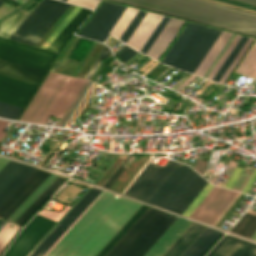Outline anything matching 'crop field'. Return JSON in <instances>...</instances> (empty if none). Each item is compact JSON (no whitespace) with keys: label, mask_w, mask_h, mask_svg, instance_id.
I'll list each match as a JSON object with an SVG mask.
<instances>
[{"label":"crop field","mask_w":256,"mask_h":256,"mask_svg":"<svg viewBox=\"0 0 256 256\" xmlns=\"http://www.w3.org/2000/svg\"><path fill=\"white\" fill-rule=\"evenodd\" d=\"M124 200L104 192L46 256H74ZM140 206L126 199L75 256H96Z\"/></svg>","instance_id":"8a807250"},{"label":"crop field","mask_w":256,"mask_h":256,"mask_svg":"<svg viewBox=\"0 0 256 256\" xmlns=\"http://www.w3.org/2000/svg\"><path fill=\"white\" fill-rule=\"evenodd\" d=\"M256 37V14L202 0H113Z\"/></svg>","instance_id":"ac0d7876"},{"label":"crop field","mask_w":256,"mask_h":256,"mask_svg":"<svg viewBox=\"0 0 256 256\" xmlns=\"http://www.w3.org/2000/svg\"><path fill=\"white\" fill-rule=\"evenodd\" d=\"M84 80L49 72L21 121L45 124L49 115L62 117Z\"/></svg>","instance_id":"34b2d1b8"},{"label":"crop field","mask_w":256,"mask_h":256,"mask_svg":"<svg viewBox=\"0 0 256 256\" xmlns=\"http://www.w3.org/2000/svg\"><path fill=\"white\" fill-rule=\"evenodd\" d=\"M68 6L56 0H42L10 39L35 45Z\"/></svg>","instance_id":"412701ff"},{"label":"crop field","mask_w":256,"mask_h":256,"mask_svg":"<svg viewBox=\"0 0 256 256\" xmlns=\"http://www.w3.org/2000/svg\"><path fill=\"white\" fill-rule=\"evenodd\" d=\"M221 30L199 25L172 67L193 73Z\"/></svg>","instance_id":"f4fd0767"},{"label":"crop field","mask_w":256,"mask_h":256,"mask_svg":"<svg viewBox=\"0 0 256 256\" xmlns=\"http://www.w3.org/2000/svg\"><path fill=\"white\" fill-rule=\"evenodd\" d=\"M56 53L0 37V58L48 71Z\"/></svg>","instance_id":"dd49c442"},{"label":"crop field","mask_w":256,"mask_h":256,"mask_svg":"<svg viewBox=\"0 0 256 256\" xmlns=\"http://www.w3.org/2000/svg\"><path fill=\"white\" fill-rule=\"evenodd\" d=\"M207 183L190 168L160 206L182 214Z\"/></svg>","instance_id":"e52e79f7"},{"label":"crop field","mask_w":256,"mask_h":256,"mask_svg":"<svg viewBox=\"0 0 256 256\" xmlns=\"http://www.w3.org/2000/svg\"><path fill=\"white\" fill-rule=\"evenodd\" d=\"M177 164V162L170 161L168 165L166 164L167 166L162 169L149 163L126 191L125 195L147 202Z\"/></svg>","instance_id":"d8731c3e"},{"label":"crop field","mask_w":256,"mask_h":256,"mask_svg":"<svg viewBox=\"0 0 256 256\" xmlns=\"http://www.w3.org/2000/svg\"><path fill=\"white\" fill-rule=\"evenodd\" d=\"M56 222L37 215L20 233L4 256H27Z\"/></svg>","instance_id":"5a996713"},{"label":"crop field","mask_w":256,"mask_h":256,"mask_svg":"<svg viewBox=\"0 0 256 256\" xmlns=\"http://www.w3.org/2000/svg\"><path fill=\"white\" fill-rule=\"evenodd\" d=\"M236 194L214 186L190 217L212 224Z\"/></svg>","instance_id":"3316defc"},{"label":"crop field","mask_w":256,"mask_h":256,"mask_svg":"<svg viewBox=\"0 0 256 256\" xmlns=\"http://www.w3.org/2000/svg\"><path fill=\"white\" fill-rule=\"evenodd\" d=\"M177 216L162 212L123 256H142L162 233L173 223Z\"/></svg>","instance_id":"28ad6ade"},{"label":"crop field","mask_w":256,"mask_h":256,"mask_svg":"<svg viewBox=\"0 0 256 256\" xmlns=\"http://www.w3.org/2000/svg\"><path fill=\"white\" fill-rule=\"evenodd\" d=\"M100 192L101 190L91 188L30 256H42Z\"/></svg>","instance_id":"d1516ede"},{"label":"crop field","mask_w":256,"mask_h":256,"mask_svg":"<svg viewBox=\"0 0 256 256\" xmlns=\"http://www.w3.org/2000/svg\"><path fill=\"white\" fill-rule=\"evenodd\" d=\"M49 175L37 168L0 207V215L7 219Z\"/></svg>","instance_id":"22f410ed"},{"label":"crop field","mask_w":256,"mask_h":256,"mask_svg":"<svg viewBox=\"0 0 256 256\" xmlns=\"http://www.w3.org/2000/svg\"><path fill=\"white\" fill-rule=\"evenodd\" d=\"M35 169L36 167L10 161L0 171V205Z\"/></svg>","instance_id":"cbeb9de0"},{"label":"crop field","mask_w":256,"mask_h":256,"mask_svg":"<svg viewBox=\"0 0 256 256\" xmlns=\"http://www.w3.org/2000/svg\"><path fill=\"white\" fill-rule=\"evenodd\" d=\"M160 213L149 207L105 256H122Z\"/></svg>","instance_id":"5142ce71"},{"label":"crop field","mask_w":256,"mask_h":256,"mask_svg":"<svg viewBox=\"0 0 256 256\" xmlns=\"http://www.w3.org/2000/svg\"><path fill=\"white\" fill-rule=\"evenodd\" d=\"M119 8L120 5L103 1L94 15L80 29L77 35L97 40Z\"/></svg>","instance_id":"d9b57169"},{"label":"crop field","mask_w":256,"mask_h":256,"mask_svg":"<svg viewBox=\"0 0 256 256\" xmlns=\"http://www.w3.org/2000/svg\"><path fill=\"white\" fill-rule=\"evenodd\" d=\"M36 86L0 76V100L24 107Z\"/></svg>","instance_id":"733c2abd"},{"label":"crop field","mask_w":256,"mask_h":256,"mask_svg":"<svg viewBox=\"0 0 256 256\" xmlns=\"http://www.w3.org/2000/svg\"><path fill=\"white\" fill-rule=\"evenodd\" d=\"M207 256H256V244L226 235Z\"/></svg>","instance_id":"4a817a6b"},{"label":"crop field","mask_w":256,"mask_h":256,"mask_svg":"<svg viewBox=\"0 0 256 256\" xmlns=\"http://www.w3.org/2000/svg\"><path fill=\"white\" fill-rule=\"evenodd\" d=\"M46 71L0 59V75L38 85Z\"/></svg>","instance_id":"bc2a9ffb"},{"label":"crop field","mask_w":256,"mask_h":256,"mask_svg":"<svg viewBox=\"0 0 256 256\" xmlns=\"http://www.w3.org/2000/svg\"><path fill=\"white\" fill-rule=\"evenodd\" d=\"M190 223L191 221L178 217L144 256H161Z\"/></svg>","instance_id":"214f88e0"},{"label":"crop field","mask_w":256,"mask_h":256,"mask_svg":"<svg viewBox=\"0 0 256 256\" xmlns=\"http://www.w3.org/2000/svg\"><path fill=\"white\" fill-rule=\"evenodd\" d=\"M162 17V15L147 12L132 36L127 41V44L140 51L141 47L146 42Z\"/></svg>","instance_id":"92a150f3"},{"label":"crop field","mask_w":256,"mask_h":256,"mask_svg":"<svg viewBox=\"0 0 256 256\" xmlns=\"http://www.w3.org/2000/svg\"><path fill=\"white\" fill-rule=\"evenodd\" d=\"M183 24L184 21L170 18L167 25L164 27L160 35L157 37V39L147 52V55L158 60V58L161 56L163 51L166 49L168 44L171 42V40L174 38V36Z\"/></svg>","instance_id":"dafd665d"},{"label":"crop field","mask_w":256,"mask_h":256,"mask_svg":"<svg viewBox=\"0 0 256 256\" xmlns=\"http://www.w3.org/2000/svg\"><path fill=\"white\" fill-rule=\"evenodd\" d=\"M205 228L202 225L192 222L162 256H181Z\"/></svg>","instance_id":"00972430"},{"label":"crop field","mask_w":256,"mask_h":256,"mask_svg":"<svg viewBox=\"0 0 256 256\" xmlns=\"http://www.w3.org/2000/svg\"><path fill=\"white\" fill-rule=\"evenodd\" d=\"M232 33L224 32L220 34L213 46L210 48L206 56L203 58L199 66L194 71V74L203 77L210 65L213 63L217 55L220 53L222 48L225 46Z\"/></svg>","instance_id":"a9b5d70f"},{"label":"crop field","mask_w":256,"mask_h":256,"mask_svg":"<svg viewBox=\"0 0 256 256\" xmlns=\"http://www.w3.org/2000/svg\"><path fill=\"white\" fill-rule=\"evenodd\" d=\"M189 167L183 165V167H177L176 170L171 174V176L166 180V182L161 186V188L156 192V194L151 198L148 203L159 206L160 203L165 199L169 192L174 188L178 181L183 177L187 172Z\"/></svg>","instance_id":"4177f3b9"},{"label":"crop field","mask_w":256,"mask_h":256,"mask_svg":"<svg viewBox=\"0 0 256 256\" xmlns=\"http://www.w3.org/2000/svg\"><path fill=\"white\" fill-rule=\"evenodd\" d=\"M90 12L91 10L82 8L47 49L58 52L59 48L66 42V40L73 33V31L90 14Z\"/></svg>","instance_id":"730fd06b"},{"label":"crop field","mask_w":256,"mask_h":256,"mask_svg":"<svg viewBox=\"0 0 256 256\" xmlns=\"http://www.w3.org/2000/svg\"><path fill=\"white\" fill-rule=\"evenodd\" d=\"M65 180L66 179L58 176L48 186V188L25 210V212L14 222V224L21 226Z\"/></svg>","instance_id":"eef30255"},{"label":"crop field","mask_w":256,"mask_h":256,"mask_svg":"<svg viewBox=\"0 0 256 256\" xmlns=\"http://www.w3.org/2000/svg\"><path fill=\"white\" fill-rule=\"evenodd\" d=\"M198 27L197 24H191L188 23L186 28L183 30L179 38L176 40L172 48L169 50L165 58L162 60V63H165L169 66L173 63V61L176 59L184 45L187 43L193 32Z\"/></svg>","instance_id":"ae1a2a85"},{"label":"crop field","mask_w":256,"mask_h":256,"mask_svg":"<svg viewBox=\"0 0 256 256\" xmlns=\"http://www.w3.org/2000/svg\"><path fill=\"white\" fill-rule=\"evenodd\" d=\"M256 231V216L246 213L232 229V232L251 238Z\"/></svg>","instance_id":"d3111659"},{"label":"crop field","mask_w":256,"mask_h":256,"mask_svg":"<svg viewBox=\"0 0 256 256\" xmlns=\"http://www.w3.org/2000/svg\"><path fill=\"white\" fill-rule=\"evenodd\" d=\"M57 177L51 174L30 196L29 198L7 219L9 222H14L23 211L46 189V187Z\"/></svg>","instance_id":"750c4746"},{"label":"crop field","mask_w":256,"mask_h":256,"mask_svg":"<svg viewBox=\"0 0 256 256\" xmlns=\"http://www.w3.org/2000/svg\"><path fill=\"white\" fill-rule=\"evenodd\" d=\"M28 15L19 11L0 23V35L9 38Z\"/></svg>","instance_id":"bd1437ed"},{"label":"crop field","mask_w":256,"mask_h":256,"mask_svg":"<svg viewBox=\"0 0 256 256\" xmlns=\"http://www.w3.org/2000/svg\"><path fill=\"white\" fill-rule=\"evenodd\" d=\"M236 71L256 78V43L243 59Z\"/></svg>","instance_id":"1d83c4d3"},{"label":"crop field","mask_w":256,"mask_h":256,"mask_svg":"<svg viewBox=\"0 0 256 256\" xmlns=\"http://www.w3.org/2000/svg\"><path fill=\"white\" fill-rule=\"evenodd\" d=\"M138 12L137 9L127 7L126 11L123 13L121 18L115 24L113 29L110 31L109 34L113 35L114 37L118 38L124 32L128 24L131 22L135 14Z\"/></svg>","instance_id":"120bbe31"},{"label":"crop field","mask_w":256,"mask_h":256,"mask_svg":"<svg viewBox=\"0 0 256 256\" xmlns=\"http://www.w3.org/2000/svg\"><path fill=\"white\" fill-rule=\"evenodd\" d=\"M248 40V37H244L242 36V38L240 39V41L237 43V45L235 46V48L233 49V51L231 52V54L229 55V57L226 59V61L224 62V64L222 65V67L220 68V70L218 71V73L215 75V77L213 78V81H217L221 78V76L223 75V73L226 71V69L228 68V66L231 64V62L233 61V59L235 58V56L238 54V52L240 51V49L243 47V45L245 44V42Z\"/></svg>","instance_id":"d32e631a"},{"label":"crop field","mask_w":256,"mask_h":256,"mask_svg":"<svg viewBox=\"0 0 256 256\" xmlns=\"http://www.w3.org/2000/svg\"><path fill=\"white\" fill-rule=\"evenodd\" d=\"M80 9L81 7L76 6L73 11L64 19V21L55 29V31L47 38V40L41 45V48L46 49Z\"/></svg>","instance_id":"5866460e"},{"label":"crop field","mask_w":256,"mask_h":256,"mask_svg":"<svg viewBox=\"0 0 256 256\" xmlns=\"http://www.w3.org/2000/svg\"><path fill=\"white\" fill-rule=\"evenodd\" d=\"M22 107L11 105L0 101V117L16 119Z\"/></svg>","instance_id":"028f5c9d"},{"label":"crop field","mask_w":256,"mask_h":256,"mask_svg":"<svg viewBox=\"0 0 256 256\" xmlns=\"http://www.w3.org/2000/svg\"><path fill=\"white\" fill-rule=\"evenodd\" d=\"M146 208L142 205L138 211L129 219V221L119 230V232L109 241V243L100 251L97 256H101L113 243L114 241L127 229V227L140 215V213Z\"/></svg>","instance_id":"e1f06a70"},{"label":"crop field","mask_w":256,"mask_h":256,"mask_svg":"<svg viewBox=\"0 0 256 256\" xmlns=\"http://www.w3.org/2000/svg\"><path fill=\"white\" fill-rule=\"evenodd\" d=\"M12 226V227H11ZM17 230V227L5 223L3 227L0 229V251L5 246V244L8 242V240L11 238V236L14 234V232Z\"/></svg>","instance_id":"0bd39190"},{"label":"crop field","mask_w":256,"mask_h":256,"mask_svg":"<svg viewBox=\"0 0 256 256\" xmlns=\"http://www.w3.org/2000/svg\"><path fill=\"white\" fill-rule=\"evenodd\" d=\"M145 14H146L145 11L139 10V12L134 17L130 25L127 27L123 35L120 37V40L126 43V41L130 37V35L133 33V31L135 30V28L137 27V25L139 24V22L141 21V19L144 17Z\"/></svg>","instance_id":"b80d0937"},{"label":"crop field","mask_w":256,"mask_h":256,"mask_svg":"<svg viewBox=\"0 0 256 256\" xmlns=\"http://www.w3.org/2000/svg\"><path fill=\"white\" fill-rule=\"evenodd\" d=\"M240 38H241V36L236 35V37L234 38V40L232 41L230 46L227 48V50L225 51V53L223 54V56L221 57V59L219 60L217 65L215 66V68L212 70V72L208 76L209 79L212 80V78L214 77L216 72L219 70V68L221 67V65L223 64L225 59L228 57V55L230 54V52L232 51V49L234 48V46L236 45V43L239 41Z\"/></svg>","instance_id":"c035e120"},{"label":"crop field","mask_w":256,"mask_h":256,"mask_svg":"<svg viewBox=\"0 0 256 256\" xmlns=\"http://www.w3.org/2000/svg\"><path fill=\"white\" fill-rule=\"evenodd\" d=\"M169 20V17L164 16V18L162 19V21L159 23V25L157 26V28L155 29V31L152 33V35L150 36V38L148 39V41L146 42V44L143 46V48L141 49V52L146 53L147 50L149 49V47L152 45V43L154 42V40L156 39V37L159 35V33L161 32V30L163 29V27L165 26V24L167 23V21Z\"/></svg>","instance_id":"c21b1889"},{"label":"crop field","mask_w":256,"mask_h":256,"mask_svg":"<svg viewBox=\"0 0 256 256\" xmlns=\"http://www.w3.org/2000/svg\"><path fill=\"white\" fill-rule=\"evenodd\" d=\"M253 41L252 38H249V40L246 42V44L244 45V47L241 49V51L239 52V54L236 56V58L234 59V61L232 62V64L229 66V68L227 69V71L224 73V75L222 76V78L219 80L220 83H224V81L226 80V78L229 76V74L231 73V71L233 70V68L235 67V65L237 64V62L240 60V58L242 57V55L244 54V52L246 51V49L248 48V46L251 44V42ZM250 47V46H249Z\"/></svg>","instance_id":"03da06ac"},{"label":"crop field","mask_w":256,"mask_h":256,"mask_svg":"<svg viewBox=\"0 0 256 256\" xmlns=\"http://www.w3.org/2000/svg\"><path fill=\"white\" fill-rule=\"evenodd\" d=\"M213 186L207 184L206 187L201 191V193L196 197V199L190 204V206L185 210L183 215L189 216L191 212L196 208V206L201 202V200L206 196V194L211 190Z\"/></svg>","instance_id":"b54c1fbb"},{"label":"crop field","mask_w":256,"mask_h":256,"mask_svg":"<svg viewBox=\"0 0 256 256\" xmlns=\"http://www.w3.org/2000/svg\"><path fill=\"white\" fill-rule=\"evenodd\" d=\"M221 233L222 232L215 230L192 256H201Z\"/></svg>","instance_id":"5d738f31"},{"label":"crop field","mask_w":256,"mask_h":256,"mask_svg":"<svg viewBox=\"0 0 256 256\" xmlns=\"http://www.w3.org/2000/svg\"><path fill=\"white\" fill-rule=\"evenodd\" d=\"M126 9V7L122 6L120 8V10L117 12V14L115 15V17L112 19V21L110 22V24L108 25V27L105 29V31L103 32V34L100 36V38L98 39V41L103 42L108 36H109V31L112 29V27L114 26V24L116 23V21L119 19V17L121 16V14L123 13V11Z\"/></svg>","instance_id":"d23c7cc5"},{"label":"crop field","mask_w":256,"mask_h":256,"mask_svg":"<svg viewBox=\"0 0 256 256\" xmlns=\"http://www.w3.org/2000/svg\"><path fill=\"white\" fill-rule=\"evenodd\" d=\"M130 156H128L125 161L118 167V169L114 172V174L109 178V180L105 183L104 187L110 189L111 186L115 183V181L120 177V175L124 172L125 168L122 166L124 163L129 159Z\"/></svg>","instance_id":"425ffa30"},{"label":"crop field","mask_w":256,"mask_h":256,"mask_svg":"<svg viewBox=\"0 0 256 256\" xmlns=\"http://www.w3.org/2000/svg\"><path fill=\"white\" fill-rule=\"evenodd\" d=\"M111 54L109 48H107L105 46V48L103 49L102 53L100 54V56L98 57V59L96 60L95 64L93 65V67L91 68V70L89 71L88 75L86 76V79L90 80L91 76L93 75L94 71L96 70L97 66L99 65L100 61L103 58H107L109 55Z\"/></svg>","instance_id":"25e5ab78"},{"label":"crop field","mask_w":256,"mask_h":256,"mask_svg":"<svg viewBox=\"0 0 256 256\" xmlns=\"http://www.w3.org/2000/svg\"><path fill=\"white\" fill-rule=\"evenodd\" d=\"M88 84H89V82L86 81V83L84 84V86L82 87V89L80 90V92L78 93V95L76 96V98L74 99V101L72 102V104L70 105V107L68 108L66 113L64 114V116L62 117V119L60 120V122L58 123L59 126H62V124L66 120L67 116L69 115V113L71 112L73 107L75 106L76 102L78 101V99L80 98V96L82 95V93L84 92V90Z\"/></svg>","instance_id":"73cf0c24"},{"label":"crop field","mask_w":256,"mask_h":256,"mask_svg":"<svg viewBox=\"0 0 256 256\" xmlns=\"http://www.w3.org/2000/svg\"><path fill=\"white\" fill-rule=\"evenodd\" d=\"M243 169L236 167L234 172L232 173L231 177L229 178L228 182L226 183L225 187L232 189L233 185L237 181L238 177L242 173Z\"/></svg>","instance_id":"89e229c0"},{"label":"crop field","mask_w":256,"mask_h":256,"mask_svg":"<svg viewBox=\"0 0 256 256\" xmlns=\"http://www.w3.org/2000/svg\"><path fill=\"white\" fill-rule=\"evenodd\" d=\"M137 53L138 52L129 47L117 56L125 63Z\"/></svg>","instance_id":"1f2cbd36"},{"label":"crop field","mask_w":256,"mask_h":256,"mask_svg":"<svg viewBox=\"0 0 256 256\" xmlns=\"http://www.w3.org/2000/svg\"><path fill=\"white\" fill-rule=\"evenodd\" d=\"M68 2H72L89 8H94L98 0H68Z\"/></svg>","instance_id":"dbb93151"},{"label":"crop field","mask_w":256,"mask_h":256,"mask_svg":"<svg viewBox=\"0 0 256 256\" xmlns=\"http://www.w3.org/2000/svg\"><path fill=\"white\" fill-rule=\"evenodd\" d=\"M213 229H210L205 236L194 246V248L186 255V256H191L197 249L198 247L209 237V235L213 232Z\"/></svg>","instance_id":"0fb4a251"},{"label":"crop field","mask_w":256,"mask_h":256,"mask_svg":"<svg viewBox=\"0 0 256 256\" xmlns=\"http://www.w3.org/2000/svg\"><path fill=\"white\" fill-rule=\"evenodd\" d=\"M89 189H90V188H88V189L86 190V192H87ZM86 192L75 202V204L66 212V214L58 221V223H59V222L67 215V213L77 204V202L86 194ZM58 223L52 228V230L58 225ZM52 230H51V231H52ZM51 231H50V232H51ZM50 232H49V233H50ZM49 233H48V234H49ZM48 234L41 240V242L48 236ZM41 242H40V243H41ZM40 243H39V244H40ZM39 244L30 252V254L39 246ZM30 254H29V255H30ZM29 255H28V256H29Z\"/></svg>","instance_id":"1d79db26"},{"label":"crop field","mask_w":256,"mask_h":256,"mask_svg":"<svg viewBox=\"0 0 256 256\" xmlns=\"http://www.w3.org/2000/svg\"><path fill=\"white\" fill-rule=\"evenodd\" d=\"M207 162L205 161H200L199 159L197 160L195 169L202 175L205 169Z\"/></svg>","instance_id":"9d1cf04e"},{"label":"crop field","mask_w":256,"mask_h":256,"mask_svg":"<svg viewBox=\"0 0 256 256\" xmlns=\"http://www.w3.org/2000/svg\"><path fill=\"white\" fill-rule=\"evenodd\" d=\"M210 228H206L203 233L193 242V244L184 252L182 256H185L192 248L193 246L204 236V234L209 230Z\"/></svg>","instance_id":"447ae74e"},{"label":"crop field","mask_w":256,"mask_h":256,"mask_svg":"<svg viewBox=\"0 0 256 256\" xmlns=\"http://www.w3.org/2000/svg\"><path fill=\"white\" fill-rule=\"evenodd\" d=\"M256 178V170L255 172L253 173L252 177L250 178V180L248 181L247 185L245 186L243 192L244 193H247V191L249 190L250 186L252 185V183L254 182Z\"/></svg>","instance_id":"0765c3eb"},{"label":"crop field","mask_w":256,"mask_h":256,"mask_svg":"<svg viewBox=\"0 0 256 256\" xmlns=\"http://www.w3.org/2000/svg\"><path fill=\"white\" fill-rule=\"evenodd\" d=\"M8 124V121L0 120V137L4 138L6 135L5 132H2L5 126Z\"/></svg>","instance_id":"db79e9e6"},{"label":"crop field","mask_w":256,"mask_h":256,"mask_svg":"<svg viewBox=\"0 0 256 256\" xmlns=\"http://www.w3.org/2000/svg\"><path fill=\"white\" fill-rule=\"evenodd\" d=\"M39 2H37L36 0L33 1L31 4L27 5L26 7H24L23 11L29 13Z\"/></svg>","instance_id":"7b73153f"},{"label":"crop field","mask_w":256,"mask_h":256,"mask_svg":"<svg viewBox=\"0 0 256 256\" xmlns=\"http://www.w3.org/2000/svg\"><path fill=\"white\" fill-rule=\"evenodd\" d=\"M92 84V82H90V84L88 85V87L86 88L85 92L83 93V95L81 96V98L79 99V101L77 102L76 106L74 107V109L72 110V112L70 113V115L68 116L67 120L65 121V123L63 124V126H65V124L67 123V121L69 120L70 116L72 115V113L74 112V110L76 109V107L78 106L79 102L81 101V99L83 98V96L85 95V93L87 92L88 88L90 87V85Z\"/></svg>","instance_id":"78b8030e"},{"label":"crop field","mask_w":256,"mask_h":256,"mask_svg":"<svg viewBox=\"0 0 256 256\" xmlns=\"http://www.w3.org/2000/svg\"><path fill=\"white\" fill-rule=\"evenodd\" d=\"M195 78V76H191L189 79H187L181 86H179L176 90H178L179 92L185 87L187 86L193 79Z\"/></svg>","instance_id":"0f1d7ab4"},{"label":"crop field","mask_w":256,"mask_h":256,"mask_svg":"<svg viewBox=\"0 0 256 256\" xmlns=\"http://www.w3.org/2000/svg\"><path fill=\"white\" fill-rule=\"evenodd\" d=\"M9 162V160H5L0 158V170Z\"/></svg>","instance_id":"e1d0b9f6"},{"label":"crop field","mask_w":256,"mask_h":256,"mask_svg":"<svg viewBox=\"0 0 256 256\" xmlns=\"http://www.w3.org/2000/svg\"><path fill=\"white\" fill-rule=\"evenodd\" d=\"M239 1H243V2H246V3H250V4L256 5V0H239Z\"/></svg>","instance_id":"ae633e8c"},{"label":"crop field","mask_w":256,"mask_h":256,"mask_svg":"<svg viewBox=\"0 0 256 256\" xmlns=\"http://www.w3.org/2000/svg\"><path fill=\"white\" fill-rule=\"evenodd\" d=\"M255 238H256V232H255V234L252 236V239L255 240Z\"/></svg>","instance_id":"d14b1444"},{"label":"crop field","mask_w":256,"mask_h":256,"mask_svg":"<svg viewBox=\"0 0 256 256\" xmlns=\"http://www.w3.org/2000/svg\"><path fill=\"white\" fill-rule=\"evenodd\" d=\"M6 223V222H5ZM4 224V221H2V223L0 224V228H1V226ZM3 227V226H2Z\"/></svg>","instance_id":"c39391a2"},{"label":"crop field","mask_w":256,"mask_h":256,"mask_svg":"<svg viewBox=\"0 0 256 256\" xmlns=\"http://www.w3.org/2000/svg\"><path fill=\"white\" fill-rule=\"evenodd\" d=\"M2 138H0V142H1Z\"/></svg>","instance_id":"ade564c9"},{"label":"crop field","mask_w":256,"mask_h":256,"mask_svg":"<svg viewBox=\"0 0 256 256\" xmlns=\"http://www.w3.org/2000/svg\"><path fill=\"white\" fill-rule=\"evenodd\" d=\"M64 1H67V0H64Z\"/></svg>","instance_id":"c5b07064"},{"label":"crop field","mask_w":256,"mask_h":256,"mask_svg":"<svg viewBox=\"0 0 256 256\" xmlns=\"http://www.w3.org/2000/svg\"><path fill=\"white\" fill-rule=\"evenodd\" d=\"M0 223H1V220H0Z\"/></svg>","instance_id":"c3a83c6f"}]
</instances>
